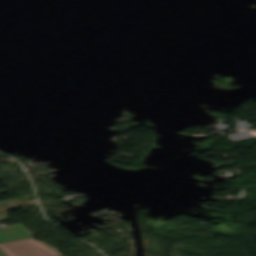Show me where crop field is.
<instances>
[{
    "mask_svg": "<svg viewBox=\"0 0 256 256\" xmlns=\"http://www.w3.org/2000/svg\"><path fill=\"white\" fill-rule=\"evenodd\" d=\"M6 192V190L0 191V193Z\"/></svg>",
    "mask_w": 256,
    "mask_h": 256,
    "instance_id": "ac0d7876",
    "label": "crop field"
},
{
    "mask_svg": "<svg viewBox=\"0 0 256 256\" xmlns=\"http://www.w3.org/2000/svg\"><path fill=\"white\" fill-rule=\"evenodd\" d=\"M8 256H58L59 253L32 238L0 244Z\"/></svg>",
    "mask_w": 256,
    "mask_h": 256,
    "instance_id": "8a807250",
    "label": "crop field"
}]
</instances>
